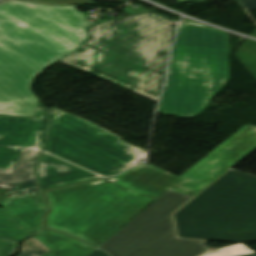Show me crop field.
<instances>
[{
	"label": "crop field",
	"mask_w": 256,
	"mask_h": 256,
	"mask_svg": "<svg viewBox=\"0 0 256 256\" xmlns=\"http://www.w3.org/2000/svg\"><path fill=\"white\" fill-rule=\"evenodd\" d=\"M169 192H171V191H169ZM173 193H176V192H173ZM176 194L186 195V194H181V193H176ZM186 196H191V195H186ZM191 197H193V196H191Z\"/></svg>",
	"instance_id": "25"
},
{
	"label": "crop field",
	"mask_w": 256,
	"mask_h": 256,
	"mask_svg": "<svg viewBox=\"0 0 256 256\" xmlns=\"http://www.w3.org/2000/svg\"><path fill=\"white\" fill-rule=\"evenodd\" d=\"M4 1H6V0H0V3H1V2H4Z\"/></svg>",
	"instance_id": "27"
},
{
	"label": "crop field",
	"mask_w": 256,
	"mask_h": 256,
	"mask_svg": "<svg viewBox=\"0 0 256 256\" xmlns=\"http://www.w3.org/2000/svg\"><path fill=\"white\" fill-rule=\"evenodd\" d=\"M107 180H109V179H107ZM109 181H112L113 182V179L112 180H109ZM116 184V183H115ZM117 186V185H116ZM120 187V186H119ZM121 188V187H120ZM124 190V189H123ZM167 190H165L164 192H166ZM164 192H162L161 194H163ZM160 194V195H161ZM160 195H158V196H156V197H154V198H157V197H159ZM151 197V196H150Z\"/></svg>",
	"instance_id": "23"
},
{
	"label": "crop field",
	"mask_w": 256,
	"mask_h": 256,
	"mask_svg": "<svg viewBox=\"0 0 256 256\" xmlns=\"http://www.w3.org/2000/svg\"><path fill=\"white\" fill-rule=\"evenodd\" d=\"M254 251L245 246L244 244H236L226 248L219 249L214 252L207 253L203 256H235L247 253H253Z\"/></svg>",
	"instance_id": "17"
},
{
	"label": "crop field",
	"mask_w": 256,
	"mask_h": 256,
	"mask_svg": "<svg viewBox=\"0 0 256 256\" xmlns=\"http://www.w3.org/2000/svg\"><path fill=\"white\" fill-rule=\"evenodd\" d=\"M88 256H108V255L105 252L101 251V250H96L95 249Z\"/></svg>",
	"instance_id": "21"
},
{
	"label": "crop field",
	"mask_w": 256,
	"mask_h": 256,
	"mask_svg": "<svg viewBox=\"0 0 256 256\" xmlns=\"http://www.w3.org/2000/svg\"><path fill=\"white\" fill-rule=\"evenodd\" d=\"M183 1H188V0H177L178 3H179V2H183Z\"/></svg>",
	"instance_id": "26"
},
{
	"label": "crop field",
	"mask_w": 256,
	"mask_h": 256,
	"mask_svg": "<svg viewBox=\"0 0 256 256\" xmlns=\"http://www.w3.org/2000/svg\"><path fill=\"white\" fill-rule=\"evenodd\" d=\"M34 236L51 250L44 256H86L94 250L73 238L45 229Z\"/></svg>",
	"instance_id": "12"
},
{
	"label": "crop field",
	"mask_w": 256,
	"mask_h": 256,
	"mask_svg": "<svg viewBox=\"0 0 256 256\" xmlns=\"http://www.w3.org/2000/svg\"><path fill=\"white\" fill-rule=\"evenodd\" d=\"M2 209L32 235L40 231L42 217L46 211L39 192L6 199Z\"/></svg>",
	"instance_id": "11"
},
{
	"label": "crop field",
	"mask_w": 256,
	"mask_h": 256,
	"mask_svg": "<svg viewBox=\"0 0 256 256\" xmlns=\"http://www.w3.org/2000/svg\"><path fill=\"white\" fill-rule=\"evenodd\" d=\"M190 197L169 192L157 198L98 249L111 256H198L205 242L178 239L171 214Z\"/></svg>",
	"instance_id": "8"
},
{
	"label": "crop field",
	"mask_w": 256,
	"mask_h": 256,
	"mask_svg": "<svg viewBox=\"0 0 256 256\" xmlns=\"http://www.w3.org/2000/svg\"><path fill=\"white\" fill-rule=\"evenodd\" d=\"M255 147L256 126L246 124L179 177L144 163L115 176L114 182L151 196L165 189L195 195Z\"/></svg>",
	"instance_id": "7"
},
{
	"label": "crop field",
	"mask_w": 256,
	"mask_h": 256,
	"mask_svg": "<svg viewBox=\"0 0 256 256\" xmlns=\"http://www.w3.org/2000/svg\"><path fill=\"white\" fill-rule=\"evenodd\" d=\"M35 172L41 190L100 178L44 152L36 164Z\"/></svg>",
	"instance_id": "10"
},
{
	"label": "crop field",
	"mask_w": 256,
	"mask_h": 256,
	"mask_svg": "<svg viewBox=\"0 0 256 256\" xmlns=\"http://www.w3.org/2000/svg\"><path fill=\"white\" fill-rule=\"evenodd\" d=\"M30 1H38L50 4H90L96 5L93 1H84V0H30Z\"/></svg>",
	"instance_id": "19"
},
{
	"label": "crop field",
	"mask_w": 256,
	"mask_h": 256,
	"mask_svg": "<svg viewBox=\"0 0 256 256\" xmlns=\"http://www.w3.org/2000/svg\"><path fill=\"white\" fill-rule=\"evenodd\" d=\"M31 234L6 212L0 209V239L19 242Z\"/></svg>",
	"instance_id": "14"
},
{
	"label": "crop field",
	"mask_w": 256,
	"mask_h": 256,
	"mask_svg": "<svg viewBox=\"0 0 256 256\" xmlns=\"http://www.w3.org/2000/svg\"><path fill=\"white\" fill-rule=\"evenodd\" d=\"M41 193L48 208L43 227L96 248L155 200L103 178Z\"/></svg>",
	"instance_id": "4"
},
{
	"label": "crop field",
	"mask_w": 256,
	"mask_h": 256,
	"mask_svg": "<svg viewBox=\"0 0 256 256\" xmlns=\"http://www.w3.org/2000/svg\"><path fill=\"white\" fill-rule=\"evenodd\" d=\"M174 217L182 238L256 240V177L231 169Z\"/></svg>",
	"instance_id": "5"
},
{
	"label": "crop field",
	"mask_w": 256,
	"mask_h": 256,
	"mask_svg": "<svg viewBox=\"0 0 256 256\" xmlns=\"http://www.w3.org/2000/svg\"><path fill=\"white\" fill-rule=\"evenodd\" d=\"M50 250L34 236L23 241L21 250L16 256H42Z\"/></svg>",
	"instance_id": "15"
},
{
	"label": "crop field",
	"mask_w": 256,
	"mask_h": 256,
	"mask_svg": "<svg viewBox=\"0 0 256 256\" xmlns=\"http://www.w3.org/2000/svg\"><path fill=\"white\" fill-rule=\"evenodd\" d=\"M49 118L40 104L33 118L0 115V167L14 168L22 146L41 149Z\"/></svg>",
	"instance_id": "9"
},
{
	"label": "crop field",
	"mask_w": 256,
	"mask_h": 256,
	"mask_svg": "<svg viewBox=\"0 0 256 256\" xmlns=\"http://www.w3.org/2000/svg\"><path fill=\"white\" fill-rule=\"evenodd\" d=\"M89 24L73 6L15 0L0 5V114L33 116L35 77L77 49Z\"/></svg>",
	"instance_id": "1"
},
{
	"label": "crop field",
	"mask_w": 256,
	"mask_h": 256,
	"mask_svg": "<svg viewBox=\"0 0 256 256\" xmlns=\"http://www.w3.org/2000/svg\"><path fill=\"white\" fill-rule=\"evenodd\" d=\"M101 1H117V2H126L128 0H101ZM127 3V2H126Z\"/></svg>",
	"instance_id": "22"
},
{
	"label": "crop field",
	"mask_w": 256,
	"mask_h": 256,
	"mask_svg": "<svg viewBox=\"0 0 256 256\" xmlns=\"http://www.w3.org/2000/svg\"><path fill=\"white\" fill-rule=\"evenodd\" d=\"M244 11L256 8V0H236Z\"/></svg>",
	"instance_id": "20"
},
{
	"label": "crop field",
	"mask_w": 256,
	"mask_h": 256,
	"mask_svg": "<svg viewBox=\"0 0 256 256\" xmlns=\"http://www.w3.org/2000/svg\"><path fill=\"white\" fill-rule=\"evenodd\" d=\"M36 191H39V190L35 180L14 183L9 185L4 199L23 195V194H28Z\"/></svg>",
	"instance_id": "16"
},
{
	"label": "crop field",
	"mask_w": 256,
	"mask_h": 256,
	"mask_svg": "<svg viewBox=\"0 0 256 256\" xmlns=\"http://www.w3.org/2000/svg\"><path fill=\"white\" fill-rule=\"evenodd\" d=\"M40 151L22 148L15 169L0 168V187L9 183L35 179L32 173Z\"/></svg>",
	"instance_id": "13"
},
{
	"label": "crop field",
	"mask_w": 256,
	"mask_h": 256,
	"mask_svg": "<svg viewBox=\"0 0 256 256\" xmlns=\"http://www.w3.org/2000/svg\"><path fill=\"white\" fill-rule=\"evenodd\" d=\"M16 243L0 240V256H10L17 249Z\"/></svg>",
	"instance_id": "18"
},
{
	"label": "crop field",
	"mask_w": 256,
	"mask_h": 256,
	"mask_svg": "<svg viewBox=\"0 0 256 256\" xmlns=\"http://www.w3.org/2000/svg\"><path fill=\"white\" fill-rule=\"evenodd\" d=\"M185 19L183 18V21H184Z\"/></svg>",
	"instance_id": "28"
},
{
	"label": "crop field",
	"mask_w": 256,
	"mask_h": 256,
	"mask_svg": "<svg viewBox=\"0 0 256 256\" xmlns=\"http://www.w3.org/2000/svg\"><path fill=\"white\" fill-rule=\"evenodd\" d=\"M242 256H256V253H254V254H248V255H242Z\"/></svg>",
	"instance_id": "24"
},
{
	"label": "crop field",
	"mask_w": 256,
	"mask_h": 256,
	"mask_svg": "<svg viewBox=\"0 0 256 256\" xmlns=\"http://www.w3.org/2000/svg\"><path fill=\"white\" fill-rule=\"evenodd\" d=\"M176 21L152 11L87 27L60 61L157 102Z\"/></svg>",
	"instance_id": "2"
},
{
	"label": "crop field",
	"mask_w": 256,
	"mask_h": 256,
	"mask_svg": "<svg viewBox=\"0 0 256 256\" xmlns=\"http://www.w3.org/2000/svg\"><path fill=\"white\" fill-rule=\"evenodd\" d=\"M226 32L185 20L178 24L159 114L189 118L229 79Z\"/></svg>",
	"instance_id": "3"
},
{
	"label": "crop field",
	"mask_w": 256,
	"mask_h": 256,
	"mask_svg": "<svg viewBox=\"0 0 256 256\" xmlns=\"http://www.w3.org/2000/svg\"><path fill=\"white\" fill-rule=\"evenodd\" d=\"M49 111L52 117L44 151L103 176L117 174L144 159V151L121 141L94 123L57 108Z\"/></svg>",
	"instance_id": "6"
}]
</instances>
